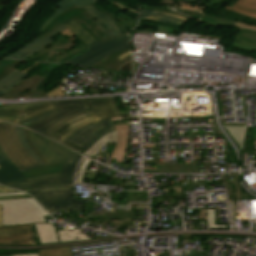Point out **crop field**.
I'll list each match as a JSON object with an SVG mask.
<instances>
[{"label":"crop field","instance_id":"1","mask_svg":"<svg viewBox=\"0 0 256 256\" xmlns=\"http://www.w3.org/2000/svg\"><path fill=\"white\" fill-rule=\"evenodd\" d=\"M29 140L47 164L64 163L61 172L29 178V181L4 184L23 190L47 185L73 183L74 169L82 155L64 148L38 134L27 130Z\"/></svg>","mask_w":256,"mask_h":256},{"label":"crop field","instance_id":"2","mask_svg":"<svg viewBox=\"0 0 256 256\" xmlns=\"http://www.w3.org/2000/svg\"><path fill=\"white\" fill-rule=\"evenodd\" d=\"M0 146L21 172L46 165L30 144L26 129L21 126L0 123Z\"/></svg>","mask_w":256,"mask_h":256},{"label":"crop field","instance_id":"3","mask_svg":"<svg viewBox=\"0 0 256 256\" xmlns=\"http://www.w3.org/2000/svg\"><path fill=\"white\" fill-rule=\"evenodd\" d=\"M23 192L0 193V196L21 195ZM2 204V226L46 222L50 216L35 199L0 201Z\"/></svg>","mask_w":256,"mask_h":256},{"label":"crop field","instance_id":"4","mask_svg":"<svg viewBox=\"0 0 256 256\" xmlns=\"http://www.w3.org/2000/svg\"><path fill=\"white\" fill-rule=\"evenodd\" d=\"M56 106L59 109V113L33 125L28 128L49 137L77 152L80 153V150L62 142L51 134L59 130L64 125L80 118L86 116L82 109L87 108L86 104L82 99L79 100H66V101H55Z\"/></svg>","mask_w":256,"mask_h":256},{"label":"crop field","instance_id":"5","mask_svg":"<svg viewBox=\"0 0 256 256\" xmlns=\"http://www.w3.org/2000/svg\"><path fill=\"white\" fill-rule=\"evenodd\" d=\"M89 108L84 109L88 116L83 117L52 134L65 141L78 129L94 122L95 124L113 117L122 116L113 97L83 99Z\"/></svg>","mask_w":256,"mask_h":256},{"label":"crop field","instance_id":"6","mask_svg":"<svg viewBox=\"0 0 256 256\" xmlns=\"http://www.w3.org/2000/svg\"><path fill=\"white\" fill-rule=\"evenodd\" d=\"M70 18L79 23L97 40L98 43L110 39V37L92 20L94 19L93 17L75 5L54 18L38 35V37L41 39L46 37L56 27Z\"/></svg>","mask_w":256,"mask_h":256},{"label":"crop field","instance_id":"7","mask_svg":"<svg viewBox=\"0 0 256 256\" xmlns=\"http://www.w3.org/2000/svg\"><path fill=\"white\" fill-rule=\"evenodd\" d=\"M48 212L83 209L84 200L74 199L72 187L30 192Z\"/></svg>","mask_w":256,"mask_h":256},{"label":"crop field","instance_id":"8","mask_svg":"<svg viewBox=\"0 0 256 256\" xmlns=\"http://www.w3.org/2000/svg\"><path fill=\"white\" fill-rule=\"evenodd\" d=\"M125 48H129V41L127 35L116 37L92 46L89 48V51L66 63L91 67L93 64L99 62L103 58Z\"/></svg>","mask_w":256,"mask_h":256},{"label":"crop field","instance_id":"9","mask_svg":"<svg viewBox=\"0 0 256 256\" xmlns=\"http://www.w3.org/2000/svg\"><path fill=\"white\" fill-rule=\"evenodd\" d=\"M127 118H138V116H127L109 119L103 121L97 125L94 123L78 130L65 142L81 149V154L88 150L96 141H98L103 135L108 132L115 131V127L112 121L127 119Z\"/></svg>","mask_w":256,"mask_h":256},{"label":"crop field","instance_id":"10","mask_svg":"<svg viewBox=\"0 0 256 256\" xmlns=\"http://www.w3.org/2000/svg\"><path fill=\"white\" fill-rule=\"evenodd\" d=\"M54 109H56L54 101L1 106L0 120L19 124ZM22 114H25V117H22Z\"/></svg>","mask_w":256,"mask_h":256},{"label":"crop field","instance_id":"11","mask_svg":"<svg viewBox=\"0 0 256 256\" xmlns=\"http://www.w3.org/2000/svg\"><path fill=\"white\" fill-rule=\"evenodd\" d=\"M40 243H62L70 241L87 240L88 237L79 232L80 229L56 231L55 224H34ZM90 239V238H89Z\"/></svg>","mask_w":256,"mask_h":256},{"label":"crop field","instance_id":"12","mask_svg":"<svg viewBox=\"0 0 256 256\" xmlns=\"http://www.w3.org/2000/svg\"><path fill=\"white\" fill-rule=\"evenodd\" d=\"M0 244L36 245L31 225L0 227Z\"/></svg>","mask_w":256,"mask_h":256},{"label":"crop field","instance_id":"13","mask_svg":"<svg viewBox=\"0 0 256 256\" xmlns=\"http://www.w3.org/2000/svg\"><path fill=\"white\" fill-rule=\"evenodd\" d=\"M44 78V77H43ZM43 78L39 76H33L29 79L22 80L17 84L13 89L7 92L5 95L1 96L2 98H18L22 96L31 95V97H45L43 91L36 92L37 85L42 82Z\"/></svg>","mask_w":256,"mask_h":256},{"label":"crop field","instance_id":"14","mask_svg":"<svg viewBox=\"0 0 256 256\" xmlns=\"http://www.w3.org/2000/svg\"><path fill=\"white\" fill-rule=\"evenodd\" d=\"M65 29L67 28L62 24L43 40L35 38L23 47H21L20 49H18L17 51H15L14 53L7 56L6 58L26 59L29 55L49 45L52 42L51 37Z\"/></svg>","mask_w":256,"mask_h":256},{"label":"crop field","instance_id":"15","mask_svg":"<svg viewBox=\"0 0 256 256\" xmlns=\"http://www.w3.org/2000/svg\"><path fill=\"white\" fill-rule=\"evenodd\" d=\"M0 184L27 180L0 148Z\"/></svg>","mask_w":256,"mask_h":256},{"label":"crop field","instance_id":"16","mask_svg":"<svg viewBox=\"0 0 256 256\" xmlns=\"http://www.w3.org/2000/svg\"><path fill=\"white\" fill-rule=\"evenodd\" d=\"M140 18L153 20V21H159V22H165V23H171V24H176V25L185 23L188 20L182 16L168 14V13H162V12H156V11H150V10H144V9H140Z\"/></svg>","mask_w":256,"mask_h":256},{"label":"crop field","instance_id":"17","mask_svg":"<svg viewBox=\"0 0 256 256\" xmlns=\"http://www.w3.org/2000/svg\"><path fill=\"white\" fill-rule=\"evenodd\" d=\"M117 129V145L107 162V165L112 158L116 159L117 162H122L125 155V150L127 146V137H128V125H119L115 126Z\"/></svg>","mask_w":256,"mask_h":256},{"label":"crop field","instance_id":"18","mask_svg":"<svg viewBox=\"0 0 256 256\" xmlns=\"http://www.w3.org/2000/svg\"><path fill=\"white\" fill-rule=\"evenodd\" d=\"M113 37L124 34L123 31L115 24L114 20L99 12L91 4L84 7Z\"/></svg>","mask_w":256,"mask_h":256},{"label":"crop field","instance_id":"19","mask_svg":"<svg viewBox=\"0 0 256 256\" xmlns=\"http://www.w3.org/2000/svg\"><path fill=\"white\" fill-rule=\"evenodd\" d=\"M98 0H60L58 3H56L54 6H52L50 9H52L53 11H55L46 21L45 23L42 25L39 33L42 31V29L58 14H60L61 12H63L65 9H67L68 7L72 6V5H76L79 8L83 7L89 3H94L97 2ZM38 33V34H39Z\"/></svg>","mask_w":256,"mask_h":256},{"label":"crop field","instance_id":"20","mask_svg":"<svg viewBox=\"0 0 256 256\" xmlns=\"http://www.w3.org/2000/svg\"><path fill=\"white\" fill-rule=\"evenodd\" d=\"M32 67H30V68H32ZM30 68H28L27 70H29ZM27 70H25L23 72L14 70L10 74H8L4 78H2L0 80V96L3 95L4 93H6L8 90H10L12 87H14L24 77L28 76L29 74L26 72Z\"/></svg>","mask_w":256,"mask_h":256},{"label":"crop field","instance_id":"21","mask_svg":"<svg viewBox=\"0 0 256 256\" xmlns=\"http://www.w3.org/2000/svg\"><path fill=\"white\" fill-rule=\"evenodd\" d=\"M63 24L76 36H78L88 47L97 44L96 40L72 19Z\"/></svg>","mask_w":256,"mask_h":256},{"label":"crop field","instance_id":"22","mask_svg":"<svg viewBox=\"0 0 256 256\" xmlns=\"http://www.w3.org/2000/svg\"><path fill=\"white\" fill-rule=\"evenodd\" d=\"M229 9L256 19V0H239L233 7Z\"/></svg>","mask_w":256,"mask_h":256},{"label":"crop field","instance_id":"23","mask_svg":"<svg viewBox=\"0 0 256 256\" xmlns=\"http://www.w3.org/2000/svg\"><path fill=\"white\" fill-rule=\"evenodd\" d=\"M107 141L116 143V131L103 136L84 154L94 158Z\"/></svg>","mask_w":256,"mask_h":256},{"label":"crop field","instance_id":"24","mask_svg":"<svg viewBox=\"0 0 256 256\" xmlns=\"http://www.w3.org/2000/svg\"><path fill=\"white\" fill-rule=\"evenodd\" d=\"M165 171L144 170V173H178V170L199 171V166L165 164Z\"/></svg>","mask_w":256,"mask_h":256},{"label":"crop field","instance_id":"25","mask_svg":"<svg viewBox=\"0 0 256 256\" xmlns=\"http://www.w3.org/2000/svg\"><path fill=\"white\" fill-rule=\"evenodd\" d=\"M62 165L63 164L46 165L40 168L25 171L23 172V174L25 175L26 178H28V177H33V176L42 175L46 173L57 172L61 170Z\"/></svg>","mask_w":256,"mask_h":256},{"label":"crop field","instance_id":"26","mask_svg":"<svg viewBox=\"0 0 256 256\" xmlns=\"http://www.w3.org/2000/svg\"><path fill=\"white\" fill-rule=\"evenodd\" d=\"M224 127L228 130L229 134L237 142V144L240 146L242 150L243 140H244L247 127H243V126H224Z\"/></svg>","mask_w":256,"mask_h":256},{"label":"crop field","instance_id":"27","mask_svg":"<svg viewBox=\"0 0 256 256\" xmlns=\"http://www.w3.org/2000/svg\"><path fill=\"white\" fill-rule=\"evenodd\" d=\"M227 228V224H217L215 209H207V229Z\"/></svg>","mask_w":256,"mask_h":256},{"label":"crop field","instance_id":"28","mask_svg":"<svg viewBox=\"0 0 256 256\" xmlns=\"http://www.w3.org/2000/svg\"><path fill=\"white\" fill-rule=\"evenodd\" d=\"M40 256H72L70 247L39 251Z\"/></svg>","mask_w":256,"mask_h":256},{"label":"crop field","instance_id":"29","mask_svg":"<svg viewBox=\"0 0 256 256\" xmlns=\"http://www.w3.org/2000/svg\"><path fill=\"white\" fill-rule=\"evenodd\" d=\"M239 41H241L243 43H239ZM232 47L243 50V51H247V52H251L253 50L256 51V44L249 43V42H246V41H242V40H239V39L234 40V42L232 44Z\"/></svg>","mask_w":256,"mask_h":256},{"label":"crop field","instance_id":"30","mask_svg":"<svg viewBox=\"0 0 256 256\" xmlns=\"http://www.w3.org/2000/svg\"><path fill=\"white\" fill-rule=\"evenodd\" d=\"M237 38L256 43V31L242 28L240 33L237 35Z\"/></svg>","mask_w":256,"mask_h":256},{"label":"crop field","instance_id":"31","mask_svg":"<svg viewBox=\"0 0 256 256\" xmlns=\"http://www.w3.org/2000/svg\"><path fill=\"white\" fill-rule=\"evenodd\" d=\"M200 20L203 21V22L216 24V25H234L233 22L226 21V20L220 19V18H215V17H212V16H206V15H203Z\"/></svg>","mask_w":256,"mask_h":256},{"label":"crop field","instance_id":"32","mask_svg":"<svg viewBox=\"0 0 256 256\" xmlns=\"http://www.w3.org/2000/svg\"><path fill=\"white\" fill-rule=\"evenodd\" d=\"M56 112H58V109H56V110H54V111H51V112H49V113H46V114H44V115L38 116V117H36V118H33V119H31V120H28V121H26V122H23V123H21V124H19V125L28 127V126H30V125H32V124H34V123H36V122H38V121H40V120H42V119L48 117V116H50V115H52V114H54V113H56Z\"/></svg>","mask_w":256,"mask_h":256},{"label":"crop field","instance_id":"33","mask_svg":"<svg viewBox=\"0 0 256 256\" xmlns=\"http://www.w3.org/2000/svg\"><path fill=\"white\" fill-rule=\"evenodd\" d=\"M22 61H18V60H15L13 63H11L8 67L0 70V79L2 77H4L5 75H7L8 73H10L11 71H13V67L16 66L17 64L21 63Z\"/></svg>","mask_w":256,"mask_h":256},{"label":"crop field","instance_id":"34","mask_svg":"<svg viewBox=\"0 0 256 256\" xmlns=\"http://www.w3.org/2000/svg\"><path fill=\"white\" fill-rule=\"evenodd\" d=\"M89 163V160L87 159H84L82 165L80 166V169L78 171V180H77V183H81V180H82V176H83V173H84V169L86 167V165Z\"/></svg>","mask_w":256,"mask_h":256},{"label":"crop field","instance_id":"35","mask_svg":"<svg viewBox=\"0 0 256 256\" xmlns=\"http://www.w3.org/2000/svg\"><path fill=\"white\" fill-rule=\"evenodd\" d=\"M26 198H33V197H31L29 195L10 196V197H0V200L26 199Z\"/></svg>","mask_w":256,"mask_h":256},{"label":"crop field","instance_id":"36","mask_svg":"<svg viewBox=\"0 0 256 256\" xmlns=\"http://www.w3.org/2000/svg\"><path fill=\"white\" fill-rule=\"evenodd\" d=\"M49 97L65 96L58 88L47 93Z\"/></svg>","mask_w":256,"mask_h":256},{"label":"crop field","instance_id":"37","mask_svg":"<svg viewBox=\"0 0 256 256\" xmlns=\"http://www.w3.org/2000/svg\"><path fill=\"white\" fill-rule=\"evenodd\" d=\"M14 60H6L5 62H3L1 65H0V69L6 67L7 65H9L11 62H13Z\"/></svg>","mask_w":256,"mask_h":256},{"label":"crop field","instance_id":"38","mask_svg":"<svg viewBox=\"0 0 256 256\" xmlns=\"http://www.w3.org/2000/svg\"><path fill=\"white\" fill-rule=\"evenodd\" d=\"M236 24H237L238 26H242V27H246V28H251V29H256V26H248V25H246V24L238 23V22H236Z\"/></svg>","mask_w":256,"mask_h":256},{"label":"crop field","instance_id":"39","mask_svg":"<svg viewBox=\"0 0 256 256\" xmlns=\"http://www.w3.org/2000/svg\"><path fill=\"white\" fill-rule=\"evenodd\" d=\"M16 190L14 189H9V188H0V192H15Z\"/></svg>","mask_w":256,"mask_h":256},{"label":"crop field","instance_id":"40","mask_svg":"<svg viewBox=\"0 0 256 256\" xmlns=\"http://www.w3.org/2000/svg\"><path fill=\"white\" fill-rule=\"evenodd\" d=\"M11 256H39L38 254H19V255H11Z\"/></svg>","mask_w":256,"mask_h":256},{"label":"crop field","instance_id":"41","mask_svg":"<svg viewBox=\"0 0 256 256\" xmlns=\"http://www.w3.org/2000/svg\"><path fill=\"white\" fill-rule=\"evenodd\" d=\"M111 38H113L97 21H95Z\"/></svg>","mask_w":256,"mask_h":256},{"label":"crop field","instance_id":"42","mask_svg":"<svg viewBox=\"0 0 256 256\" xmlns=\"http://www.w3.org/2000/svg\"><path fill=\"white\" fill-rule=\"evenodd\" d=\"M179 173H199V172L179 171Z\"/></svg>","mask_w":256,"mask_h":256},{"label":"crop field","instance_id":"43","mask_svg":"<svg viewBox=\"0 0 256 256\" xmlns=\"http://www.w3.org/2000/svg\"><path fill=\"white\" fill-rule=\"evenodd\" d=\"M0 226H1V205H0Z\"/></svg>","mask_w":256,"mask_h":256},{"label":"crop field","instance_id":"44","mask_svg":"<svg viewBox=\"0 0 256 256\" xmlns=\"http://www.w3.org/2000/svg\"><path fill=\"white\" fill-rule=\"evenodd\" d=\"M163 166H156V169L161 170Z\"/></svg>","mask_w":256,"mask_h":256},{"label":"crop field","instance_id":"45","mask_svg":"<svg viewBox=\"0 0 256 256\" xmlns=\"http://www.w3.org/2000/svg\"><path fill=\"white\" fill-rule=\"evenodd\" d=\"M3 61H5V59L1 60V61H0V64H1Z\"/></svg>","mask_w":256,"mask_h":256},{"label":"crop field","instance_id":"46","mask_svg":"<svg viewBox=\"0 0 256 256\" xmlns=\"http://www.w3.org/2000/svg\"><path fill=\"white\" fill-rule=\"evenodd\" d=\"M189 1H194L195 2L196 0H189Z\"/></svg>","mask_w":256,"mask_h":256}]
</instances>
